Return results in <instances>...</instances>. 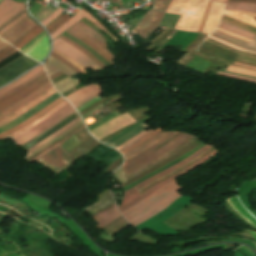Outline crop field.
<instances>
[{"label": "crop field", "instance_id": "crop-field-1", "mask_svg": "<svg viewBox=\"0 0 256 256\" xmlns=\"http://www.w3.org/2000/svg\"><path fill=\"white\" fill-rule=\"evenodd\" d=\"M182 188L183 187L177 185L175 180H173L121 213L125 216L128 222L135 226L164 210L172 202L178 199L181 195L177 194L174 196L173 194Z\"/></svg>", "mask_w": 256, "mask_h": 256}, {"label": "crop field", "instance_id": "crop-field-2", "mask_svg": "<svg viewBox=\"0 0 256 256\" xmlns=\"http://www.w3.org/2000/svg\"><path fill=\"white\" fill-rule=\"evenodd\" d=\"M208 0H173L167 13L182 15L176 29L197 32L207 5Z\"/></svg>", "mask_w": 256, "mask_h": 256}, {"label": "crop field", "instance_id": "crop-field-3", "mask_svg": "<svg viewBox=\"0 0 256 256\" xmlns=\"http://www.w3.org/2000/svg\"><path fill=\"white\" fill-rule=\"evenodd\" d=\"M211 146L207 145L204 148L200 149L199 151H197L196 153H194L193 155L189 156L188 158L184 159L183 161L179 162L178 164L168 168L167 170L137 184L136 186H134L133 188H131L130 190L125 192V198L123 199L122 205L120 207H118V209L121 211L131 207L132 205L136 204L137 202H139L140 200H142L143 198H145L146 196H148L149 194H151L153 191H155L156 189H158L159 187H161L162 185H164L165 183H167L168 181L183 175L189 171H191L192 169H194L195 167H197L198 165H200L201 163H203L204 161H206L207 159H209L210 157H212L214 154H216L219 151H214L211 154H209L208 156H206L205 158H203L201 161H199L198 163H196L195 165L187 168L186 170L182 171L181 173L173 176L172 178L154 186L153 188L149 189L147 192H145L143 195H139L137 193L136 190L140 189L141 187L145 186L146 184L166 175L167 173L185 165L186 163H188L190 160H192L193 158H195L196 156H198L200 153H202L203 151L207 150L208 148H210Z\"/></svg>", "mask_w": 256, "mask_h": 256}, {"label": "crop field", "instance_id": "crop-field-4", "mask_svg": "<svg viewBox=\"0 0 256 256\" xmlns=\"http://www.w3.org/2000/svg\"><path fill=\"white\" fill-rule=\"evenodd\" d=\"M177 133H173L168 137L162 139L161 141L157 142L156 144L152 145L151 147L147 148L146 150L142 151L141 153L135 155L134 157L130 158L129 160L125 161L122 168L126 172V174L154 161L155 159L159 158L163 154L167 153L171 149L175 148L179 144L191 139L193 136L188 135L184 132L179 133L175 137H173L170 141H168L165 145L161 146L154 152H152L155 148H157L160 144L164 141L168 140L172 136ZM152 152V153H151Z\"/></svg>", "mask_w": 256, "mask_h": 256}, {"label": "crop field", "instance_id": "crop-field-5", "mask_svg": "<svg viewBox=\"0 0 256 256\" xmlns=\"http://www.w3.org/2000/svg\"><path fill=\"white\" fill-rule=\"evenodd\" d=\"M66 32L78 40L86 43L98 54H100L108 63L114 65L112 61L115 57L105 48V39L99 33L85 25L83 22H78Z\"/></svg>", "mask_w": 256, "mask_h": 256}, {"label": "crop field", "instance_id": "crop-field-6", "mask_svg": "<svg viewBox=\"0 0 256 256\" xmlns=\"http://www.w3.org/2000/svg\"><path fill=\"white\" fill-rule=\"evenodd\" d=\"M172 0H153V8L147 12L140 23L134 28L140 36L146 35L150 30L151 32L145 37L153 33L158 27L164 13L166 12Z\"/></svg>", "mask_w": 256, "mask_h": 256}, {"label": "crop field", "instance_id": "crop-field-7", "mask_svg": "<svg viewBox=\"0 0 256 256\" xmlns=\"http://www.w3.org/2000/svg\"><path fill=\"white\" fill-rule=\"evenodd\" d=\"M75 111L72 106L68 103L62 108H60L58 111H56L54 114H52L50 117L39 123L38 125L34 126L33 128L29 129L28 131L22 133L21 135L17 136L16 138L12 139L16 143V145L20 146L27 142L28 140L32 139L42 131L46 130L68 114Z\"/></svg>", "mask_w": 256, "mask_h": 256}, {"label": "crop field", "instance_id": "crop-field-8", "mask_svg": "<svg viewBox=\"0 0 256 256\" xmlns=\"http://www.w3.org/2000/svg\"><path fill=\"white\" fill-rule=\"evenodd\" d=\"M45 69H46V72L49 76L58 72V71H61V72L65 73L69 76H72V75L76 74L68 66L64 65L63 63H61L60 61H58L57 59H55L51 56L49 57V60L45 64ZM79 82H81V81L68 77V78L54 84V86L59 91V93L61 94L65 91L71 89L72 87H74Z\"/></svg>", "mask_w": 256, "mask_h": 256}, {"label": "crop field", "instance_id": "crop-field-9", "mask_svg": "<svg viewBox=\"0 0 256 256\" xmlns=\"http://www.w3.org/2000/svg\"><path fill=\"white\" fill-rule=\"evenodd\" d=\"M36 64L37 62L27 58L24 55L19 57L15 61L0 69V86L16 78Z\"/></svg>", "mask_w": 256, "mask_h": 256}, {"label": "crop field", "instance_id": "crop-field-10", "mask_svg": "<svg viewBox=\"0 0 256 256\" xmlns=\"http://www.w3.org/2000/svg\"><path fill=\"white\" fill-rule=\"evenodd\" d=\"M53 48L57 49L58 51L62 52L63 54L71 57L76 62H78L85 70L91 69L94 72L101 70L99 66H97L92 60L86 57L83 53L79 50L75 49L74 47L70 46L69 44L59 40L58 38L53 41Z\"/></svg>", "mask_w": 256, "mask_h": 256}, {"label": "crop field", "instance_id": "crop-field-11", "mask_svg": "<svg viewBox=\"0 0 256 256\" xmlns=\"http://www.w3.org/2000/svg\"><path fill=\"white\" fill-rule=\"evenodd\" d=\"M47 81H49V79L47 78L46 74L44 73L41 76H39L38 78H36L34 81L29 83L28 85L13 92L12 94L0 99V110L11 105L12 103L24 98L29 93H31L32 91H34L35 89H37L38 87H40L41 85L46 83Z\"/></svg>", "mask_w": 256, "mask_h": 256}, {"label": "crop field", "instance_id": "crop-field-12", "mask_svg": "<svg viewBox=\"0 0 256 256\" xmlns=\"http://www.w3.org/2000/svg\"><path fill=\"white\" fill-rule=\"evenodd\" d=\"M68 154L65 148L61 145L56 147L50 153L42 157L41 159L37 160L38 162L42 163L48 169H50L55 174L70 165L63 156ZM41 164V165H42Z\"/></svg>", "mask_w": 256, "mask_h": 256}, {"label": "crop field", "instance_id": "crop-field-13", "mask_svg": "<svg viewBox=\"0 0 256 256\" xmlns=\"http://www.w3.org/2000/svg\"><path fill=\"white\" fill-rule=\"evenodd\" d=\"M135 122V120L127 113L117 116L110 121L104 123L100 127L90 131L91 134L98 140L105 137L106 135Z\"/></svg>", "mask_w": 256, "mask_h": 256}, {"label": "crop field", "instance_id": "crop-field-14", "mask_svg": "<svg viewBox=\"0 0 256 256\" xmlns=\"http://www.w3.org/2000/svg\"><path fill=\"white\" fill-rule=\"evenodd\" d=\"M101 89L102 88L100 85L94 83L77 90L76 92L70 94L65 98H67L76 108L81 104L87 102L88 100L92 99L96 95L102 94L103 92Z\"/></svg>", "mask_w": 256, "mask_h": 256}, {"label": "crop field", "instance_id": "crop-field-15", "mask_svg": "<svg viewBox=\"0 0 256 256\" xmlns=\"http://www.w3.org/2000/svg\"><path fill=\"white\" fill-rule=\"evenodd\" d=\"M151 118L152 117H150V116L144 118L142 122L137 123L136 125L128 128L127 130L117 134L116 136L110 138L109 140H107L103 143L110 145L114 148L118 147L119 145L126 142L127 140H129L130 138L135 136L136 134L143 131L146 127H148L144 122Z\"/></svg>", "mask_w": 256, "mask_h": 256}, {"label": "crop field", "instance_id": "crop-field-16", "mask_svg": "<svg viewBox=\"0 0 256 256\" xmlns=\"http://www.w3.org/2000/svg\"><path fill=\"white\" fill-rule=\"evenodd\" d=\"M55 92L56 91L52 87L49 90H47L45 93L41 94L40 96L36 97L32 101L28 102L24 106L20 107L16 111H14L10 115L0 119V127L6 125V124L10 123L11 121H13L14 119L18 118L19 116H21L22 114H24L25 112H27L28 110H30L31 108H33L34 106H36L37 104H39L40 102H42L43 100H45L46 98H48L50 95H52Z\"/></svg>", "mask_w": 256, "mask_h": 256}, {"label": "crop field", "instance_id": "crop-field-17", "mask_svg": "<svg viewBox=\"0 0 256 256\" xmlns=\"http://www.w3.org/2000/svg\"><path fill=\"white\" fill-rule=\"evenodd\" d=\"M86 18L89 21H91L92 23H94L95 25H97L99 28H101L102 30H104L107 34L108 31L105 27H103L92 15H90L89 13H87L85 10H81L79 11L75 16H73L70 20H68L65 24H63L59 29H57L54 33L51 34L52 36V40L54 38H56L57 36H59L61 33H63L65 30H67L69 27H71L75 22H77L80 18ZM110 35V34H109ZM115 41H118L115 37H113L112 35H110Z\"/></svg>", "mask_w": 256, "mask_h": 256}, {"label": "crop field", "instance_id": "crop-field-18", "mask_svg": "<svg viewBox=\"0 0 256 256\" xmlns=\"http://www.w3.org/2000/svg\"><path fill=\"white\" fill-rule=\"evenodd\" d=\"M35 25L36 24L27 17L0 37L11 44Z\"/></svg>", "mask_w": 256, "mask_h": 256}, {"label": "crop field", "instance_id": "crop-field-19", "mask_svg": "<svg viewBox=\"0 0 256 256\" xmlns=\"http://www.w3.org/2000/svg\"><path fill=\"white\" fill-rule=\"evenodd\" d=\"M224 5L211 3L207 18L204 23L203 33L210 34L217 26Z\"/></svg>", "mask_w": 256, "mask_h": 256}, {"label": "crop field", "instance_id": "crop-field-20", "mask_svg": "<svg viewBox=\"0 0 256 256\" xmlns=\"http://www.w3.org/2000/svg\"><path fill=\"white\" fill-rule=\"evenodd\" d=\"M25 8L24 2L21 4L14 3L11 0H4L0 3V25L18 14Z\"/></svg>", "mask_w": 256, "mask_h": 256}, {"label": "crop field", "instance_id": "crop-field-21", "mask_svg": "<svg viewBox=\"0 0 256 256\" xmlns=\"http://www.w3.org/2000/svg\"><path fill=\"white\" fill-rule=\"evenodd\" d=\"M92 216L97 221L98 225H96L95 227L99 230L103 226L110 223L111 221H113L114 219L118 218L121 215L117 211L115 204H112V205L100 210L99 212L95 213Z\"/></svg>", "mask_w": 256, "mask_h": 256}, {"label": "crop field", "instance_id": "crop-field-22", "mask_svg": "<svg viewBox=\"0 0 256 256\" xmlns=\"http://www.w3.org/2000/svg\"><path fill=\"white\" fill-rule=\"evenodd\" d=\"M51 87L50 82L46 83L45 85H43L42 87L38 88L37 90H35L34 92H32L31 94H29L27 97H25L24 99L12 104L11 106L3 109L2 111H0V118L10 114L11 112H13L14 110H16L17 108H19L20 106H22L23 104L27 103L28 101L32 100L33 98H35L36 96L40 95L41 93L45 92L47 89H49ZM24 106V105H23Z\"/></svg>", "mask_w": 256, "mask_h": 256}, {"label": "crop field", "instance_id": "crop-field-23", "mask_svg": "<svg viewBox=\"0 0 256 256\" xmlns=\"http://www.w3.org/2000/svg\"><path fill=\"white\" fill-rule=\"evenodd\" d=\"M48 49H49V43H48L47 37H45L24 54L41 62L45 58L48 52Z\"/></svg>", "mask_w": 256, "mask_h": 256}, {"label": "crop field", "instance_id": "crop-field-24", "mask_svg": "<svg viewBox=\"0 0 256 256\" xmlns=\"http://www.w3.org/2000/svg\"><path fill=\"white\" fill-rule=\"evenodd\" d=\"M173 132H160L157 135L153 136L140 146L136 147L135 149L131 150L130 152L124 154L125 160L129 159L130 157L134 156L135 154L139 153L140 151L144 150L145 148L149 147L150 145L156 143L157 141L161 140L162 138L166 137L167 135ZM146 150V149H145ZM141 153V152H140Z\"/></svg>", "mask_w": 256, "mask_h": 256}, {"label": "crop field", "instance_id": "crop-field-25", "mask_svg": "<svg viewBox=\"0 0 256 256\" xmlns=\"http://www.w3.org/2000/svg\"><path fill=\"white\" fill-rule=\"evenodd\" d=\"M66 103H68L65 99L63 101H61L59 104H57L55 107H53L51 110H49L48 112H46L44 115H42L41 117H39L38 119H36L35 121H33L32 123L28 124L27 126L21 128L20 130L0 139H6L8 137H10L11 139L14 138L15 136H17L18 134H20L21 132H23L24 130L38 124L39 122H41L42 120H44L45 118H47L48 116H50L52 113H54L56 110H58L60 107H62L63 105H65Z\"/></svg>", "mask_w": 256, "mask_h": 256}, {"label": "crop field", "instance_id": "crop-field-26", "mask_svg": "<svg viewBox=\"0 0 256 256\" xmlns=\"http://www.w3.org/2000/svg\"><path fill=\"white\" fill-rule=\"evenodd\" d=\"M230 205L239 213L241 214L245 219H247L251 224H256V219H254L239 203L237 197H231L227 199ZM255 226V225H254ZM256 227V226H255ZM252 236L256 239V232L249 231Z\"/></svg>", "mask_w": 256, "mask_h": 256}, {"label": "crop field", "instance_id": "crop-field-27", "mask_svg": "<svg viewBox=\"0 0 256 256\" xmlns=\"http://www.w3.org/2000/svg\"><path fill=\"white\" fill-rule=\"evenodd\" d=\"M43 68L42 66H38L35 69H33L31 72H27L28 74L22 76L21 78L17 79L16 81H14L13 83H11L10 85L0 89V96L8 91H10L11 89L23 84L25 81H27L28 79H30L31 77H33L35 74H37L38 72L42 71Z\"/></svg>", "mask_w": 256, "mask_h": 256}, {"label": "crop field", "instance_id": "crop-field-28", "mask_svg": "<svg viewBox=\"0 0 256 256\" xmlns=\"http://www.w3.org/2000/svg\"><path fill=\"white\" fill-rule=\"evenodd\" d=\"M63 98H58L57 100H55L53 103H51L50 105H48L47 107H45L44 109H42L41 111H39L38 113H36L35 115H33L32 117H30L28 120H26L24 123L0 134V138L5 136V135H8L18 129H20L21 127L25 126L26 124L32 122L33 120H35L36 118H38L39 116H41L42 114H44L46 111H48L50 108H52L54 105H56L58 102H60Z\"/></svg>", "mask_w": 256, "mask_h": 256}, {"label": "crop field", "instance_id": "crop-field-29", "mask_svg": "<svg viewBox=\"0 0 256 256\" xmlns=\"http://www.w3.org/2000/svg\"><path fill=\"white\" fill-rule=\"evenodd\" d=\"M42 31H43V29H41L40 26L36 25L28 33H26L24 36H22L20 39H18L17 41H15L11 45H13V46H15V47L20 49L24 45H26L29 41H31L34 37H36Z\"/></svg>", "mask_w": 256, "mask_h": 256}, {"label": "crop field", "instance_id": "crop-field-30", "mask_svg": "<svg viewBox=\"0 0 256 256\" xmlns=\"http://www.w3.org/2000/svg\"><path fill=\"white\" fill-rule=\"evenodd\" d=\"M224 15L231 16V17H233L235 19H238V20H240L242 22H245V23H247L249 25H252V26L256 27V19L245 17V15L255 16L256 17V14L240 12V11H225Z\"/></svg>", "mask_w": 256, "mask_h": 256}, {"label": "crop field", "instance_id": "crop-field-31", "mask_svg": "<svg viewBox=\"0 0 256 256\" xmlns=\"http://www.w3.org/2000/svg\"><path fill=\"white\" fill-rule=\"evenodd\" d=\"M225 10H241L256 13V4L227 2Z\"/></svg>", "mask_w": 256, "mask_h": 256}, {"label": "crop field", "instance_id": "crop-field-32", "mask_svg": "<svg viewBox=\"0 0 256 256\" xmlns=\"http://www.w3.org/2000/svg\"><path fill=\"white\" fill-rule=\"evenodd\" d=\"M219 28H222V29H225L229 32H232V33H235L237 35H240V36H243V37H246L248 39H253L255 37V35L249 33V32H246V31H243V30H240L232 25H229L227 23H224L221 21L220 25H219Z\"/></svg>", "mask_w": 256, "mask_h": 256}, {"label": "crop field", "instance_id": "crop-field-33", "mask_svg": "<svg viewBox=\"0 0 256 256\" xmlns=\"http://www.w3.org/2000/svg\"><path fill=\"white\" fill-rule=\"evenodd\" d=\"M58 38L62 39L63 41L75 46L77 49L83 51L86 55H88L96 64H98L102 69L106 68L97 58H95L91 53H89L88 51H86L85 49H83L82 47H80L79 45L75 44L74 42H72L71 40L63 37V36H59Z\"/></svg>", "mask_w": 256, "mask_h": 256}, {"label": "crop field", "instance_id": "crop-field-34", "mask_svg": "<svg viewBox=\"0 0 256 256\" xmlns=\"http://www.w3.org/2000/svg\"><path fill=\"white\" fill-rule=\"evenodd\" d=\"M221 20H223V21H226V22H228V23H230V24H233V25H235V26H238V27H240V28H243V29H246V30H249V31H252V32H255L256 33V28H254V27H252V26H249V25H247V24H244V23H241V22H239V21H236V20H233V19H231V18H228V17H226V16H222V19Z\"/></svg>", "mask_w": 256, "mask_h": 256}, {"label": "crop field", "instance_id": "crop-field-35", "mask_svg": "<svg viewBox=\"0 0 256 256\" xmlns=\"http://www.w3.org/2000/svg\"><path fill=\"white\" fill-rule=\"evenodd\" d=\"M68 19H70V18L62 15L58 19H56L54 22H52L49 26H47L46 28L49 30V32L51 34L57 28H59L63 23H65Z\"/></svg>", "mask_w": 256, "mask_h": 256}, {"label": "crop field", "instance_id": "crop-field-36", "mask_svg": "<svg viewBox=\"0 0 256 256\" xmlns=\"http://www.w3.org/2000/svg\"><path fill=\"white\" fill-rule=\"evenodd\" d=\"M151 131H153V130H148L147 132H145V131H143V132H141L140 134H138L137 136H135V137H133L132 139H130L129 141H127L126 143H124L123 145H121V146H119L118 148H116V149H118V150H123V149H125L126 147H128L129 145H131V144H133V143H135L136 141H138V140H140L141 138H143L144 136H146L148 133H150Z\"/></svg>", "mask_w": 256, "mask_h": 256}, {"label": "crop field", "instance_id": "crop-field-37", "mask_svg": "<svg viewBox=\"0 0 256 256\" xmlns=\"http://www.w3.org/2000/svg\"><path fill=\"white\" fill-rule=\"evenodd\" d=\"M62 144L64 145V147L69 152V151H71L72 149H74L76 146H78L81 143L79 142V140L74 135V136H72L71 138H69L67 141H65Z\"/></svg>", "mask_w": 256, "mask_h": 256}, {"label": "crop field", "instance_id": "crop-field-38", "mask_svg": "<svg viewBox=\"0 0 256 256\" xmlns=\"http://www.w3.org/2000/svg\"><path fill=\"white\" fill-rule=\"evenodd\" d=\"M162 129L157 128L155 129L153 132H151L149 135H147L146 137H144L143 139H141L140 141H138L137 143L131 145L130 147H128L127 149L121 151L123 154L128 152L129 150L135 148L136 146H138L139 144L143 143L144 141H146L147 139H149L150 137H152L153 135L157 134L158 132H160Z\"/></svg>", "mask_w": 256, "mask_h": 256}, {"label": "crop field", "instance_id": "crop-field-39", "mask_svg": "<svg viewBox=\"0 0 256 256\" xmlns=\"http://www.w3.org/2000/svg\"><path fill=\"white\" fill-rule=\"evenodd\" d=\"M64 11V9L62 8H58L53 14H51L49 17H47L44 21H42L41 23L43 24V26L45 27L48 23H50L55 17H57L60 13H62Z\"/></svg>", "mask_w": 256, "mask_h": 256}, {"label": "crop field", "instance_id": "crop-field-40", "mask_svg": "<svg viewBox=\"0 0 256 256\" xmlns=\"http://www.w3.org/2000/svg\"><path fill=\"white\" fill-rule=\"evenodd\" d=\"M25 17H27L26 13L22 14L20 17H18L16 20H14L12 23H10L8 26H6L4 29L0 31V35H2L4 32L12 28L14 25L19 23L21 20H23Z\"/></svg>", "mask_w": 256, "mask_h": 256}, {"label": "crop field", "instance_id": "crop-field-41", "mask_svg": "<svg viewBox=\"0 0 256 256\" xmlns=\"http://www.w3.org/2000/svg\"><path fill=\"white\" fill-rule=\"evenodd\" d=\"M83 128H85V126L82 127V128H80V129H78L77 131H75L74 133H72L70 136H68L67 138H65L64 140H62L61 142H59V143L55 144L54 146L50 147V148L47 149L45 152H43L42 154H40L39 156H37L35 159H33L31 162H33V161L37 160L38 158H40L41 156L47 154V153H48L49 151H51L53 148H55L56 146H58L59 144H61V143L64 142L66 139H68L69 137H71L72 135H74L75 133H77L78 131H80V130L83 129Z\"/></svg>", "mask_w": 256, "mask_h": 256}, {"label": "crop field", "instance_id": "crop-field-42", "mask_svg": "<svg viewBox=\"0 0 256 256\" xmlns=\"http://www.w3.org/2000/svg\"><path fill=\"white\" fill-rule=\"evenodd\" d=\"M17 50H15L13 47L9 46L3 50L0 51V61L2 59H4L5 57L9 56L10 54H12L13 52H15Z\"/></svg>", "mask_w": 256, "mask_h": 256}, {"label": "crop field", "instance_id": "crop-field-43", "mask_svg": "<svg viewBox=\"0 0 256 256\" xmlns=\"http://www.w3.org/2000/svg\"><path fill=\"white\" fill-rule=\"evenodd\" d=\"M51 56L57 58L58 60H60L61 62L65 63V64H67L70 68H72L77 73H82L75 65H73L70 62L64 60L63 58L59 57L58 55H56L54 53H51Z\"/></svg>", "mask_w": 256, "mask_h": 256}, {"label": "crop field", "instance_id": "crop-field-44", "mask_svg": "<svg viewBox=\"0 0 256 256\" xmlns=\"http://www.w3.org/2000/svg\"><path fill=\"white\" fill-rule=\"evenodd\" d=\"M209 38H211V39H213V40H215V41H218V42H220V43H222V44H225V45H227V46H229V47L235 48V49H237V50L244 51V52H248V53H252V54H256V53L249 52V51H246V50H244V49H241V48H239V47H236V46H234V45H232V44H229V43H227V42H225V41H223V40H221V39H218V38H216V37H213V36H211V35H209Z\"/></svg>", "mask_w": 256, "mask_h": 256}, {"label": "crop field", "instance_id": "crop-field-45", "mask_svg": "<svg viewBox=\"0 0 256 256\" xmlns=\"http://www.w3.org/2000/svg\"><path fill=\"white\" fill-rule=\"evenodd\" d=\"M217 75H222V76H228V77H233V78H238V79H243V80H247V81H251V82H255V79H251V78H246V77H240V76H235V75H231V74H226V73H222V72H218L216 73Z\"/></svg>", "mask_w": 256, "mask_h": 256}, {"label": "crop field", "instance_id": "crop-field-46", "mask_svg": "<svg viewBox=\"0 0 256 256\" xmlns=\"http://www.w3.org/2000/svg\"><path fill=\"white\" fill-rule=\"evenodd\" d=\"M83 125H84V124H83ZM83 125H81V126H83ZM81 126H80V127H81ZM80 127H78V128H80ZM78 128H76L75 130H77ZM75 130H73V131H71L70 133L66 134L65 136L61 137L59 140H57V141L54 142L53 144H55V143L61 141L62 139H64V138L67 137L68 135H70V134H71L72 132H74ZM53 144H51L50 146H52ZM50 146H48L47 148H49ZM53 146H54V145H53ZM47 148H45L44 150H46ZM44 150H42L41 152H39V153H37L36 155L32 156L31 158L27 159L28 162H29L30 160H32L33 158H35V157H36L37 155H39L40 153H42Z\"/></svg>", "mask_w": 256, "mask_h": 256}, {"label": "crop field", "instance_id": "crop-field-47", "mask_svg": "<svg viewBox=\"0 0 256 256\" xmlns=\"http://www.w3.org/2000/svg\"><path fill=\"white\" fill-rule=\"evenodd\" d=\"M52 50L55 51V52H57V53H59V54H60L59 56L63 57L64 59H66V60H68V61H70L71 63L75 64V65H76L81 71H83L84 73H87V72H85V70H84L78 63H76V62H75L74 60H72L71 58H69V57L63 55L62 53H60V52H58V51H56V50H54V49H52Z\"/></svg>", "mask_w": 256, "mask_h": 256}, {"label": "crop field", "instance_id": "crop-field-48", "mask_svg": "<svg viewBox=\"0 0 256 256\" xmlns=\"http://www.w3.org/2000/svg\"><path fill=\"white\" fill-rule=\"evenodd\" d=\"M100 99H102V98L98 96V97H96V98H94V99L88 101L87 103L81 105L80 107H78V108H76V109H77V111L79 112V111H81L82 109H84L85 107H87L88 105H90V104H92V103H94V102H96V101H98V100H100Z\"/></svg>", "mask_w": 256, "mask_h": 256}, {"label": "crop field", "instance_id": "crop-field-49", "mask_svg": "<svg viewBox=\"0 0 256 256\" xmlns=\"http://www.w3.org/2000/svg\"><path fill=\"white\" fill-rule=\"evenodd\" d=\"M42 73H44V71H42V72L38 73L36 76H34V77H33V78H31L30 80H28L26 83H24V84H23V85H21L20 87H18V88H16V89H14V90H12V91H10V92H8V93L4 94V95H3V96H1L0 98H2V97H4V96H6V95H8V94L12 93L13 91H15V90H17V89L21 88V87H22V86H24L25 84L29 83L30 81H32L33 79H35L36 77H38L39 75H41Z\"/></svg>", "mask_w": 256, "mask_h": 256}, {"label": "crop field", "instance_id": "crop-field-50", "mask_svg": "<svg viewBox=\"0 0 256 256\" xmlns=\"http://www.w3.org/2000/svg\"><path fill=\"white\" fill-rule=\"evenodd\" d=\"M217 30H219V31H221V32H223V33L229 34V35H231V36L237 37V38H239V39H241V40H245V41H249V42L251 41V40H248V39H246V38H243V37L237 36V35H235V34L229 33V32H227V31L222 30V29H219V28H217Z\"/></svg>", "mask_w": 256, "mask_h": 256}, {"label": "crop field", "instance_id": "crop-field-51", "mask_svg": "<svg viewBox=\"0 0 256 256\" xmlns=\"http://www.w3.org/2000/svg\"><path fill=\"white\" fill-rule=\"evenodd\" d=\"M25 10H23L22 12H20L18 15H16L15 17H13L12 19H10L9 21H7L5 24H3L2 26H0V30L2 28H4L6 25H8L10 22H12L14 19H16L18 16H20Z\"/></svg>", "mask_w": 256, "mask_h": 256}, {"label": "crop field", "instance_id": "crop-field-52", "mask_svg": "<svg viewBox=\"0 0 256 256\" xmlns=\"http://www.w3.org/2000/svg\"><path fill=\"white\" fill-rule=\"evenodd\" d=\"M228 68H229V69L238 70V71H243V72H248V73L256 74V72H255V71L244 70V69L235 68V67H231V66H229Z\"/></svg>", "mask_w": 256, "mask_h": 256}, {"label": "crop field", "instance_id": "crop-field-53", "mask_svg": "<svg viewBox=\"0 0 256 256\" xmlns=\"http://www.w3.org/2000/svg\"><path fill=\"white\" fill-rule=\"evenodd\" d=\"M229 1L256 3V0H229Z\"/></svg>", "mask_w": 256, "mask_h": 256}, {"label": "crop field", "instance_id": "crop-field-54", "mask_svg": "<svg viewBox=\"0 0 256 256\" xmlns=\"http://www.w3.org/2000/svg\"><path fill=\"white\" fill-rule=\"evenodd\" d=\"M9 45H7L5 42H3L1 39H0V50L7 47Z\"/></svg>", "mask_w": 256, "mask_h": 256}, {"label": "crop field", "instance_id": "crop-field-55", "mask_svg": "<svg viewBox=\"0 0 256 256\" xmlns=\"http://www.w3.org/2000/svg\"><path fill=\"white\" fill-rule=\"evenodd\" d=\"M233 65H237V66H241V67H245V68H249V69H254V70H256L255 67L245 66V65H241V64H237V63H233Z\"/></svg>", "mask_w": 256, "mask_h": 256}, {"label": "crop field", "instance_id": "crop-field-56", "mask_svg": "<svg viewBox=\"0 0 256 256\" xmlns=\"http://www.w3.org/2000/svg\"><path fill=\"white\" fill-rule=\"evenodd\" d=\"M210 3H211V2H209V5H208V8H207V11H206L205 17H206V15H207V12H208V9H209V6H210ZM205 17H204V20H205ZM204 20H203V23H204ZM203 23H202V25H201V27H200V29H199V31H198V32H201V31H202Z\"/></svg>", "mask_w": 256, "mask_h": 256}, {"label": "crop field", "instance_id": "crop-field-57", "mask_svg": "<svg viewBox=\"0 0 256 256\" xmlns=\"http://www.w3.org/2000/svg\"><path fill=\"white\" fill-rule=\"evenodd\" d=\"M61 74H62V73L59 72V73H57V74H55V75H53V76H51V77H49V78H50V80H51V79H53V78H55V77H57V76H59V75H61Z\"/></svg>", "mask_w": 256, "mask_h": 256}, {"label": "crop field", "instance_id": "crop-field-58", "mask_svg": "<svg viewBox=\"0 0 256 256\" xmlns=\"http://www.w3.org/2000/svg\"><path fill=\"white\" fill-rule=\"evenodd\" d=\"M213 1L225 3L227 0H213Z\"/></svg>", "mask_w": 256, "mask_h": 256}, {"label": "crop field", "instance_id": "crop-field-59", "mask_svg": "<svg viewBox=\"0 0 256 256\" xmlns=\"http://www.w3.org/2000/svg\"><path fill=\"white\" fill-rule=\"evenodd\" d=\"M116 2H117V3H119V2H120V0H117Z\"/></svg>", "mask_w": 256, "mask_h": 256}, {"label": "crop field", "instance_id": "crop-field-60", "mask_svg": "<svg viewBox=\"0 0 256 256\" xmlns=\"http://www.w3.org/2000/svg\"><path fill=\"white\" fill-rule=\"evenodd\" d=\"M112 2H115V0H112Z\"/></svg>", "mask_w": 256, "mask_h": 256}]
</instances>
